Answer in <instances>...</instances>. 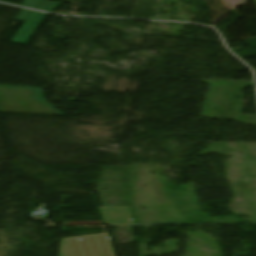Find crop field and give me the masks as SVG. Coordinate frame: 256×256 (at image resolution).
I'll use <instances>...</instances> for the list:
<instances>
[{"mask_svg": "<svg viewBox=\"0 0 256 256\" xmlns=\"http://www.w3.org/2000/svg\"><path fill=\"white\" fill-rule=\"evenodd\" d=\"M0 112L63 115L48 103L41 88L0 85Z\"/></svg>", "mask_w": 256, "mask_h": 256, "instance_id": "crop-field-1", "label": "crop field"}, {"mask_svg": "<svg viewBox=\"0 0 256 256\" xmlns=\"http://www.w3.org/2000/svg\"><path fill=\"white\" fill-rule=\"evenodd\" d=\"M60 256H115L107 233L69 237L61 241Z\"/></svg>", "mask_w": 256, "mask_h": 256, "instance_id": "crop-field-2", "label": "crop field"}, {"mask_svg": "<svg viewBox=\"0 0 256 256\" xmlns=\"http://www.w3.org/2000/svg\"><path fill=\"white\" fill-rule=\"evenodd\" d=\"M46 17L47 14L33 11L12 42L26 45Z\"/></svg>", "mask_w": 256, "mask_h": 256, "instance_id": "crop-field-3", "label": "crop field"}, {"mask_svg": "<svg viewBox=\"0 0 256 256\" xmlns=\"http://www.w3.org/2000/svg\"><path fill=\"white\" fill-rule=\"evenodd\" d=\"M107 224H133L130 207H102Z\"/></svg>", "mask_w": 256, "mask_h": 256, "instance_id": "crop-field-4", "label": "crop field"}, {"mask_svg": "<svg viewBox=\"0 0 256 256\" xmlns=\"http://www.w3.org/2000/svg\"><path fill=\"white\" fill-rule=\"evenodd\" d=\"M30 13L29 10L22 9L18 16L15 18L16 21L24 22L28 14Z\"/></svg>", "mask_w": 256, "mask_h": 256, "instance_id": "crop-field-5", "label": "crop field"}]
</instances>
